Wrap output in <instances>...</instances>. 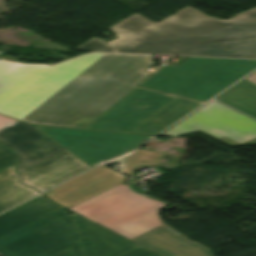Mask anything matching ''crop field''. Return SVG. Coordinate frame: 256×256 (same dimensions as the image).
I'll return each mask as SVG.
<instances>
[{"mask_svg": "<svg viewBox=\"0 0 256 256\" xmlns=\"http://www.w3.org/2000/svg\"><path fill=\"white\" fill-rule=\"evenodd\" d=\"M215 99L256 118V86L245 80Z\"/></svg>", "mask_w": 256, "mask_h": 256, "instance_id": "crop-field-15", "label": "crop field"}, {"mask_svg": "<svg viewBox=\"0 0 256 256\" xmlns=\"http://www.w3.org/2000/svg\"><path fill=\"white\" fill-rule=\"evenodd\" d=\"M199 105V103L176 98L152 115L132 132L156 135Z\"/></svg>", "mask_w": 256, "mask_h": 256, "instance_id": "crop-field-14", "label": "crop field"}, {"mask_svg": "<svg viewBox=\"0 0 256 256\" xmlns=\"http://www.w3.org/2000/svg\"><path fill=\"white\" fill-rule=\"evenodd\" d=\"M14 166L0 172V181L16 173L14 172Z\"/></svg>", "mask_w": 256, "mask_h": 256, "instance_id": "crop-field-21", "label": "crop field"}, {"mask_svg": "<svg viewBox=\"0 0 256 256\" xmlns=\"http://www.w3.org/2000/svg\"><path fill=\"white\" fill-rule=\"evenodd\" d=\"M160 156L159 152L137 150L128 156L122 171L128 176H132L137 165H155Z\"/></svg>", "mask_w": 256, "mask_h": 256, "instance_id": "crop-field-17", "label": "crop field"}, {"mask_svg": "<svg viewBox=\"0 0 256 256\" xmlns=\"http://www.w3.org/2000/svg\"><path fill=\"white\" fill-rule=\"evenodd\" d=\"M91 168L79 158L65 150L18 174L21 182L40 192Z\"/></svg>", "mask_w": 256, "mask_h": 256, "instance_id": "crop-field-11", "label": "crop field"}, {"mask_svg": "<svg viewBox=\"0 0 256 256\" xmlns=\"http://www.w3.org/2000/svg\"><path fill=\"white\" fill-rule=\"evenodd\" d=\"M256 68L255 60L189 57L166 65L140 87L204 102Z\"/></svg>", "mask_w": 256, "mask_h": 256, "instance_id": "crop-field-4", "label": "crop field"}, {"mask_svg": "<svg viewBox=\"0 0 256 256\" xmlns=\"http://www.w3.org/2000/svg\"><path fill=\"white\" fill-rule=\"evenodd\" d=\"M197 131L231 147L256 145V120L214 101L162 135L177 137Z\"/></svg>", "mask_w": 256, "mask_h": 256, "instance_id": "crop-field-7", "label": "crop field"}, {"mask_svg": "<svg viewBox=\"0 0 256 256\" xmlns=\"http://www.w3.org/2000/svg\"><path fill=\"white\" fill-rule=\"evenodd\" d=\"M15 158L14 153L4 144L0 143V170L13 164Z\"/></svg>", "mask_w": 256, "mask_h": 256, "instance_id": "crop-field-19", "label": "crop field"}, {"mask_svg": "<svg viewBox=\"0 0 256 256\" xmlns=\"http://www.w3.org/2000/svg\"><path fill=\"white\" fill-rule=\"evenodd\" d=\"M173 98L136 88L85 128L130 132Z\"/></svg>", "mask_w": 256, "mask_h": 256, "instance_id": "crop-field-8", "label": "crop field"}, {"mask_svg": "<svg viewBox=\"0 0 256 256\" xmlns=\"http://www.w3.org/2000/svg\"><path fill=\"white\" fill-rule=\"evenodd\" d=\"M168 205L135 194L122 183L70 210L132 239L162 224L158 211Z\"/></svg>", "mask_w": 256, "mask_h": 256, "instance_id": "crop-field-5", "label": "crop field"}, {"mask_svg": "<svg viewBox=\"0 0 256 256\" xmlns=\"http://www.w3.org/2000/svg\"><path fill=\"white\" fill-rule=\"evenodd\" d=\"M20 177L15 174L0 182V212L38 194L29 187L19 183Z\"/></svg>", "mask_w": 256, "mask_h": 256, "instance_id": "crop-field-16", "label": "crop field"}, {"mask_svg": "<svg viewBox=\"0 0 256 256\" xmlns=\"http://www.w3.org/2000/svg\"><path fill=\"white\" fill-rule=\"evenodd\" d=\"M53 141L87 164L121 163L124 156L151 138L149 135L36 126Z\"/></svg>", "mask_w": 256, "mask_h": 256, "instance_id": "crop-field-6", "label": "crop field"}, {"mask_svg": "<svg viewBox=\"0 0 256 256\" xmlns=\"http://www.w3.org/2000/svg\"><path fill=\"white\" fill-rule=\"evenodd\" d=\"M123 181L125 176L99 166L45 193V196L69 209Z\"/></svg>", "mask_w": 256, "mask_h": 256, "instance_id": "crop-field-10", "label": "crop field"}, {"mask_svg": "<svg viewBox=\"0 0 256 256\" xmlns=\"http://www.w3.org/2000/svg\"><path fill=\"white\" fill-rule=\"evenodd\" d=\"M70 216L81 231L85 256H117L137 246L75 213Z\"/></svg>", "mask_w": 256, "mask_h": 256, "instance_id": "crop-field-12", "label": "crop field"}, {"mask_svg": "<svg viewBox=\"0 0 256 256\" xmlns=\"http://www.w3.org/2000/svg\"><path fill=\"white\" fill-rule=\"evenodd\" d=\"M13 121H16V120L0 116V127L5 126Z\"/></svg>", "mask_w": 256, "mask_h": 256, "instance_id": "crop-field-22", "label": "crop field"}, {"mask_svg": "<svg viewBox=\"0 0 256 256\" xmlns=\"http://www.w3.org/2000/svg\"><path fill=\"white\" fill-rule=\"evenodd\" d=\"M120 256H159L143 247H136Z\"/></svg>", "mask_w": 256, "mask_h": 256, "instance_id": "crop-field-20", "label": "crop field"}, {"mask_svg": "<svg viewBox=\"0 0 256 256\" xmlns=\"http://www.w3.org/2000/svg\"><path fill=\"white\" fill-rule=\"evenodd\" d=\"M3 256H83L64 210L40 195L0 215Z\"/></svg>", "mask_w": 256, "mask_h": 256, "instance_id": "crop-field-3", "label": "crop field"}, {"mask_svg": "<svg viewBox=\"0 0 256 256\" xmlns=\"http://www.w3.org/2000/svg\"><path fill=\"white\" fill-rule=\"evenodd\" d=\"M245 80H247V81L256 85V71L252 75L247 77Z\"/></svg>", "mask_w": 256, "mask_h": 256, "instance_id": "crop-field-23", "label": "crop field"}, {"mask_svg": "<svg viewBox=\"0 0 256 256\" xmlns=\"http://www.w3.org/2000/svg\"><path fill=\"white\" fill-rule=\"evenodd\" d=\"M0 140L19 155L17 172L65 150L36 128L19 121L1 128Z\"/></svg>", "mask_w": 256, "mask_h": 256, "instance_id": "crop-field-9", "label": "crop field"}, {"mask_svg": "<svg viewBox=\"0 0 256 256\" xmlns=\"http://www.w3.org/2000/svg\"><path fill=\"white\" fill-rule=\"evenodd\" d=\"M0 59H3V60H11V61H16V62H18L17 60H15L14 58H12V57H8V56H0Z\"/></svg>", "mask_w": 256, "mask_h": 256, "instance_id": "crop-field-24", "label": "crop field"}, {"mask_svg": "<svg viewBox=\"0 0 256 256\" xmlns=\"http://www.w3.org/2000/svg\"><path fill=\"white\" fill-rule=\"evenodd\" d=\"M108 30L120 38L107 43L124 53L256 59V8L220 20L188 6L157 24L133 14Z\"/></svg>", "mask_w": 256, "mask_h": 256, "instance_id": "crop-field-2", "label": "crop field"}, {"mask_svg": "<svg viewBox=\"0 0 256 256\" xmlns=\"http://www.w3.org/2000/svg\"><path fill=\"white\" fill-rule=\"evenodd\" d=\"M79 51H107V52H115L111 49L108 45L103 43L98 38H93L86 43L80 45L79 47L75 48Z\"/></svg>", "mask_w": 256, "mask_h": 256, "instance_id": "crop-field-18", "label": "crop field"}, {"mask_svg": "<svg viewBox=\"0 0 256 256\" xmlns=\"http://www.w3.org/2000/svg\"><path fill=\"white\" fill-rule=\"evenodd\" d=\"M132 241L162 256H211L204 247L187 241L164 224Z\"/></svg>", "mask_w": 256, "mask_h": 256, "instance_id": "crop-field-13", "label": "crop field"}, {"mask_svg": "<svg viewBox=\"0 0 256 256\" xmlns=\"http://www.w3.org/2000/svg\"><path fill=\"white\" fill-rule=\"evenodd\" d=\"M152 58L92 53L54 66L0 60V114L29 124L84 128L136 88Z\"/></svg>", "mask_w": 256, "mask_h": 256, "instance_id": "crop-field-1", "label": "crop field"}]
</instances>
